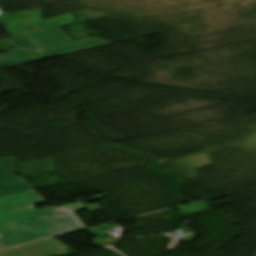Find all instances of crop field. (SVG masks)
Returning a JSON list of instances; mask_svg holds the SVG:
<instances>
[{"label":"crop field","mask_w":256,"mask_h":256,"mask_svg":"<svg viewBox=\"0 0 256 256\" xmlns=\"http://www.w3.org/2000/svg\"><path fill=\"white\" fill-rule=\"evenodd\" d=\"M45 203L34 191L0 197V249L85 228L73 212L80 202L33 211Z\"/></svg>","instance_id":"1"},{"label":"crop field","mask_w":256,"mask_h":256,"mask_svg":"<svg viewBox=\"0 0 256 256\" xmlns=\"http://www.w3.org/2000/svg\"><path fill=\"white\" fill-rule=\"evenodd\" d=\"M9 42L16 49L34 51L47 58L115 43L98 36L74 42L60 28L10 39Z\"/></svg>","instance_id":"2"},{"label":"crop field","mask_w":256,"mask_h":256,"mask_svg":"<svg viewBox=\"0 0 256 256\" xmlns=\"http://www.w3.org/2000/svg\"><path fill=\"white\" fill-rule=\"evenodd\" d=\"M70 248L55 238L0 251V256H60Z\"/></svg>","instance_id":"3"},{"label":"crop field","mask_w":256,"mask_h":256,"mask_svg":"<svg viewBox=\"0 0 256 256\" xmlns=\"http://www.w3.org/2000/svg\"><path fill=\"white\" fill-rule=\"evenodd\" d=\"M33 188L24 179L13 175L8 167L0 168V196Z\"/></svg>","instance_id":"4"},{"label":"crop field","mask_w":256,"mask_h":256,"mask_svg":"<svg viewBox=\"0 0 256 256\" xmlns=\"http://www.w3.org/2000/svg\"><path fill=\"white\" fill-rule=\"evenodd\" d=\"M45 59L44 57L35 54L33 52H23V51H12L0 54V61L6 60L10 63H15L17 65Z\"/></svg>","instance_id":"5"},{"label":"crop field","mask_w":256,"mask_h":256,"mask_svg":"<svg viewBox=\"0 0 256 256\" xmlns=\"http://www.w3.org/2000/svg\"><path fill=\"white\" fill-rule=\"evenodd\" d=\"M17 164L13 158H0V167L10 166Z\"/></svg>","instance_id":"6"},{"label":"crop field","mask_w":256,"mask_h":256,"mask_svg":"<svg viewBox=\"0 0 256 256\" xmlns=\"http://www.w3.org/2000/svg\"><path fill=\"white\" fill-rule=\"evenodd\" d=\"M87 211L92 212L100 210L101 208L97 204H83Z\"/></svg>","instance_id":"7"},{"label":"crop field","mask_w":256,"mask_h":256,"mask_svg":"<svg viewBox=\"0 0 256 256\" xmlns=\"http://www.w3.org/2000/svg\"><path fill=\"white\" fill-rule=\"evenodd\" d=\"M106 194H107V193H103V194H101V195L94 196V197H92V198L89 199V200H96V199H99V198H103V196L106 195Z\"/></svg>","instance_id":"8"}]
</instances>
